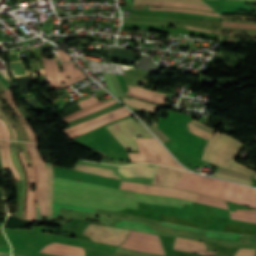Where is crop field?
I'll use <instances>...</instances> for the list:
<instances>
[{"label":"crop field","mask_w":256,"mask_h":256,"mask_svg":"<svg viewBox=\"0 0 256 256\" xmlns=\"http://www.w3.org/2000/svg\"><path fill=\"white\" fill-rule=\"evenodd\" d=\"M53 201L120 211L126 208L137 210V202L168 205L182 208L189 201L139 194L121 189L109 188L89 183L54 178Z\"/></svg>","instance_id":"8a807250"},{"label":"crop field","mask_w":256,"mask_h":256,"mask_svg":"<svg viewBox=\"0 0 256 256\" xmlns=\"http://www.w3.org/2000/svg\"><path fill=\"white\" fill-rule=\"evenodd\" d=\"M176 188L256 207L255 190L245 186L209 179L195 174L183 172Z\"/></svg>","instance_id":"ac0d7876"},{"label":"crop field","mask_w":256,"mask_h":256,"mask_svg":"<svg viewBox=\"0 0 256 256\" xmlns=\"http://www.w3.org/2000/svg\"><path fill=\"white\" fill-rule=\"evenodd\" d=\"M243 146L238 141L216 131L206 145L202 159L217 166L252 176L255 171L233 161Z\"/></svg>","instance_id":"34b2d1b8"},{"label":"crop field","mask_w":256,"mask_h":256,"mask_svg":"<svg viewBox=\"0 0 256 256\" xmlns=\"http://www.w3.org/2000/svg\"><path fill=\"white\" fill-rule=\"evenodd\" d=\"M136 140L140 149V154H129L132 162H137V163L147 162V163H154V164L161 165V158H162V165H168V166L176 167L179 169H183L179 164H177L172 159V157L165 151V149L155 139L136 138ZM140 144H143L153 155L159 154L161 158L159 157V155L153 156L143 145H141L146 158V162H145Z\"/></svg>","instance_id":"412701ff"},{"label":"crop field","mask_w":256,"mask_h":256,"mask_svg":"<svg viewBox=\"0 0 256 256\" xmlns=\"http://www.w3.org/2000/svg\"><path fill=\"white\" fill-rule=\"evenodd\" d=\"M107 129L125 150H137L133 139L137 137V134H142L143 137H153L140 122L137 123L132 118L111 125Z\"/></svg>","instance_id":"f4fd0767"},{"label":"crop field","mask_w":256,"mask_h":256,"mask_svg":"<svg viewBox=\"0 0 256 256\" xmlns=\"http://www.w3.org/2000/svg\"><path fill=\"white\" fill-rule=\"evenodd\" d=\"M129 231L110 226L89 224L84 232L95 242L119 246L127 237Z\"/></svg>","instance_id":"dd49c442"},{"label":"crop field","mask_w":256,"mask_h":256,"mask_svg":"<svg viewBox=\"0 0 256 256\" xmlns=\"http://www.w3.org/2000/svg\"><path fill=\"white\" fill-rule=\"evenodd\" d=\"M121 247L144 252L164 254L159 236L131 231Z\"/></svg>","instance_id":"e52e79f7"},{"label":"crop field","mask_w":256,"mask_h":256,"mask_svg":"<svg viewBox=\"0 0 256 256\" xmlns=\"http://www.w3.org/2000/svg\"><path fill=\"white\" fill-rule=\"evenodd\" d=\"M119 188L130 190V191H135V192H140V193H146V194L177 197V198L190 200L193 202H195L198 197V194H194L191 192L174 190V189H169V188L159 187V186L137 184V183H132V182H122Z\"/></svg>","instance_id":"d8731c3e"},{"label":"crop field","mask_w":256,"mask_h":256,"mask_svg":"<svg viewBox=\"0 0 256 256\" xmlns=\"http://www.w3.org/2000/svg\"><path fill=\"white\" fill-rule=\"evenodd\" d=\"M30 146L39 176V194L37 204H40V215H47V171L39 157L37 145L30 144Z\"/></svg>","instance_id":"5a996713"},{"label":"crop field","mask_w":256,"mask_h":256,"mask_svg":"<svg viewBox=\"0 0 256 256\" xmlns=\"http://www.w3.org/2000/svg\"><path fill=\"white\" fill-rule=\"evenodd\" d=\"M52 60L56 72L57 81L60 86V88L56 89L55 91L86 78V76L78 68H73L76 63H62V68L64 72H59L55 59Z\"/></svg>","instance_id":"3316defc"},{"label":"crop field","mask_w":256,"mask_h":256,"mask_svg":"<svg viewBox=\"0 0 256 256\" xmlns=\"http://www.w3.org/2000/svg\"><path fill=\"white\" fill-rule=\"evenodd\" d=\"M181 174L182 171L171 168L166 171L165 167L160 166L152 184L175 188Z\"/></svg>","instance_id":"28ad6ade"},{"label":"crop field","mask_w":256,"mask_h":256,"mask_svg":"<svg viewBox=\"0 0 256 256\" xmlns=\"http://www.w3.org/2000/svg\"><path fill=\"white\" fill-rule=\"evenodd\" d=\"M40 251V250H39ZM42 253L56 254L62 256H85L83 248L72 247L62 244L50 243L41 249Z\"/></svg>","instance_id":"d1516ede"},{"label":"crop field","mask_w":256,"mask_h":256,"mask_svg":"<svg viewBox=\"0 0 256 256\" xmlns=\"http://www.w3.org/2000/svg\"><path fill=\"white\" fill-rule=\"evenodd\" d=\"M159 166L155 165L154 167L149 166L148 164H136L130 166L119 167L118 171H127V170H142V171H150L156 173ZM150 172H141V171H127V172H120L122 175L126 177H148L154 178V173Z\"/></svg>","instance_id":"22f410ed"},{"label":"crop field","mask_w":256,"mask_h":256,"mask_svg":"<svg viewBox=\"0 0 256 256\" xmlns=\"http://www.w3.org/2000/svg\"><path fill=\"white\" fill-rule=\"evenodd\" d=\"M174 249L201 253L203 255H211L215 252L206 251L205 245L203 242L191 241L185 239H176Z\"/></svg>","instance_id":"cbeb9de0"},{"label":"crop field","mask_w":256,"mask_h":256,"mask_svg":"<svg viewBox=\"0 0 256 256\" xmlns=\"http://www.w3.org/2000/svg\"><path fill=\"white\" fill-rule=\"evenodd\" d=\"M74 170L88 172V173L109 177V178L121 179L117 176V174L114 172L113 169H109V168L85 166V165L76 163Z\"/></svg>","instance_id":"5142ce71"},{"label":"crop field","mask_w":256,"mask_h":256,"mask_svg":"<svg viewBox=\"0 0 256 256\" xmlns=\"http://www.w3.org/2000/svg\"><path fill=\"white\" fill-rule=\"evenodd\" d=\"M129 114H131V113L128 110H126V111L121 112V113H119V114H117V115H115V116H113L111 118H108V119H105V120H101V121H99V122H97L95 124H92V125H89V126H87L85 128H82V129L76 130L74 132H71V133L67 134V136L71 140V139H73V138H75V137H77V136H79L81 134H84V133H86V132H88V131H90V130H92V129H94V128L102 125V124H106L108 122L115 121L116 119L124 117V116L129 115Z\"/></svg>","instance_id":"d9b57169"},{"label":"crop field","mask_w":256,"mask_h":256,"mask_svg":"<svg viewBox=\"0 0 256 256\" xmlns=\"http://www.w3.org/2000/svg\"><path fill=\"white\" fill-rule=\"evenodd\" d=\"M134 4H150V5H167V6H178L185 8H195L213 11L208 5H197L183 2H165V1H153V2H134Z\"/></svg>","instance_id":"733c2abd"},{"label":"crop field","mask_w":256,"mask_h":256,"mask_svg":"<svg viewBox=\"0 0 256 256\" xmlns=\"http://www.w3.org/2000/svg\"><path fill=\"white\" fill-rule=\"evenodd\" d=\"M190 125V130L193 134L198 135L202 138H205L207 140L210 139V137L213 135L215 132L213 129L193 120L192 122L189 123Z\"/></svg>","instance_id":"4a817a6b"},{"label":"crop field","mask_w":256,"mask_h":256,"mask_svg":"<svg viewBox=\"0 0 256 256\" xmlns=\"http://www.w3.org/2000/svg\"><path fill=\"white\" fill-rule=\"evenodd\" d=\"M224 231L234 232V233L256 234V224H251V223H246V225L226 224Z\"/></svg>","instance_id":"bc2a9ffb"},{"label":"crop field","mask_w":256,"mask_h":256,"mask_svg":"<svg viewBox=\"0 0 256 256\" xmlns=\"http://www.w3.org/2000/svg\"><path fill=\"white\" fill-rule=\"evenodd\" d=\"M24 60L27 61L29 68H33L36 70V72L32 74L35 79L40 78L42 82H47V78L43 69L42 59H24Z\"/></svg>","instance_id":"214f88e0"},{"label":"crop field","mask_w":256,"mask_h":256,"mask_svg":"<svg viewBox=\"0 0 256 256\" xmlns=\"http://www.w3.org/2000/svg\"><path fill=\"white\" fill-rule=\"evenodd\" d=\"M124 110H126L124 107L119 108V109H117V110L111 111V112H109V113L103 114V115H101V116L95 117V118L90 119V120H88V121H86V122H83V123H81V124H78V125H76V126H73V127L67 128V129H64L63 131H64V133L66 134V133H68V132H71V131H74V130H76V129L82 128V127H84V126H86V125L92 124V123H94V122H96V121H98V120L108 118V117H110V116H112V115H114V114H116V113H119V112H121V111H124Z\"/></svg>","instance_id":"92a150f3"},{"label":"crop field","mask_w":256,"mask_h":256,"mask_svg":"<svg viewBox=\"0 0 256 256\" xmlns=\"http://www.w3.org/2000/svg\"><path fill=\"white\" fill-rule=\"evenodd\" d=\"M48 170V213L49 220L52 218V192H53V167L51 163L45 164Z\"/></svg>","instance_id":"dafd665d"},{"label":"crop field","mask_w":256,"mask_h":256,"mask_svg":"<svg viewBox=\"0 0 256 256\" xmlns=\"http://www.w3.org/2000/svg\"><path fill=\"white\" fill-rule=\"evenodd\" d=\"M43 63H44V69L49 81V85L51 88V91H53L54 89L58 88V84L55 78V74L53 71V67H52V61L51 59H43Z\"/></svg>","instance_id":"00972430"},{"label":"crop field","mask_w":256,"mask_h":256,"mask_svg":"<svg viewBox=\"0 0 256 256\" xmlns=\"http://www.w3.org/2000/svg\"><path fill=\"white\" fill-rule=\"evenodd\" d=\"M20 155H21V158H22V160L24 162V166H25V168L27 170L28 177H29V191H28V198H27L26 218L33 220L32 200H33V193H34V191H31V176H30V172H29V169H28V167L26 165V162L24 160L22 152H20Z\"/></svg>","instance_id":"a9b5d70f"},{"label":"crop field","mask_w":256,"mask_h":256,"mask_svg":"<svg viewBox=\"0 0 256 256\" xmlns=\"http://www.w3.org/2000/svg\"><path fill=\"white\" fill-rule=\"evenodd\" d=\"M231 218L256 222V211L251 210H237L236 212L231 211Z\"/></svg>","instance_id":"4177f3b9"},{"label":"crop field","mask_w":256,"mask_h":256,"mask_svg":"<svg viewBox=\"0 0 256 256\" xmlns=\"http://www.w3.org/2000/svg\"><path fill=\"white\" fill-rule=\"evenodd\" d=\"M116 226L126 228V229H132V230H138V231H143V232H149V233H155L156 234V232L154 230L147 227L146 225L141 224V223L132 222V221L124 220L121 223L117 224Z\"/></svg>","instance_id":"730fd06b"},{"label":"crop field","mask_w":256,"mask_h":256,"mask_svg":"<svg viewBox=\"0 0 256 256\" xmlns=\"http://www.w3.org/2000/svg\"><path fill=\"white\" fill-rule=\"evenodd\" d=\"M160 221L199 228V226L196 223H194L192 220L183 219V218H179V217H175V216H171V215L160 214Z\"/></svg>","instance_id":"eef30255"},{"label":"crop field","mask_w":256,"mask_h":256,"mask_svg":"<svg viewBox=\"0 0 256 256\" xmlns=\"http://www.w3.org/2000/svg\"><path fill=\"white\" fill-rule=\"evenodd\" d=\"M60 208H67V209L81 210V211H88V212H95V210H96L94 208H88V207H82V206H76V205L53 202V216L58 214V210Z\"/></svg>","instance_id":"ae1a2a85"},{"label":"crop field","mask_w":256,"mask_h":256,"mask_svg":"<svg viewBox=\"0 0 256 256\" xmlns=\"http://www.w3.org/2000/svg\"><path fill=\"white\" fill-rule=\"evenodd\" d=\"M205 237L215 238V239H224V240L238 241L239 234H229V233H220V232L206 231L205 232Z\"/></svg>","instance_id":"d3111659"},{"label":"crop field","mask_w":256,"mask_h":256,"mask_svg":"<svg viewBox=\"0 0 256 256\" xmlns=\"http://www.w3.org/2000/svg\"><path fill=\"white\" fill-rule=\"evenodd\" d=\"M197 202L202 203V204H207V205H211V206L224 208V209H228V206H227L226 202L210 199V198L204 197V196H199Z\"/></svg>","instance_id":"750c4746"},{"label":"crop field","mask_w":256,"mask_h":256,"mask_svg":"<svg viewBox=\"0 0 256 256\" xmlns=\"http://www.w3.org/2000/svg\"><path fill=\"white\" fill-rule=\"evenodd\" d=\"M115 102H117V101H116L115 99H113V100H111V101H109V102H106V103H104V104H102V105H99V106H97V107H95V108H92V109H90V110H88V111H85V112H83V113H81V114H78V115H76V116H74V117H72V118H70V119H67V120L64 121V123L73 121V120H75V119H78V118H80V117H83V116H85V115H88V114H90V113H93V112H95V111H98V110H100V109H103V108H105V107H107V106H109V105H111V104H113V103H115Z\"/></svg>","instance_id":"bd1437ed"},{"label":"crop field","mask_w":256,"mask_h":256,"mask_svg":"<svg viewBox=\"0 0 256 256\" xmlns=\"http://www.w3.org/2000/svg\"><path fill=\"white\" fill-rule=\"evenodd\" d=\"M6 101L8 102L9 106L11 107L12 111L15 113V115L18 117V120L20 121V123L23 125V127L26 129L28 135H29V138H30V141L35 143L34 141V138H33V135L31 133V131L27 128V126L25 125V123L22 121V119L20 118V116L18 115V113L16 112V110L14 109L13 105H12V102L10 100V97L8 95V92L7 90L5 91H2Z\"/></svg>","instance_id":"1d83c4d3"},{"label":"crop field","mask_w":256,"mask_h":256,"mask_svg":"<svg viewBox=\"0 0 256 256\" xmlns=\"http://www.w3.org/2000/svg\"><path fill=\"white\" fill-rule=\"evenodd\" d=\"M130 87V86H129ZM130 88H132V87H130ZM129 88V92H131V93H133V94H136V95H139V96H143V97H147V98H151V99H155V100H159V101H163V102H165L166 101V99H167V96L166 95H164V96H161V97H163V98H160V97H156V96H152V95H149V94H145V93H142V92H139V91H136V90H133V89H136V88H140V87H138V86H136V88H133V89H130ZM140 89H143V88H140ZM138 90V89H137ZM145 90V89H144ZM141 91V90H140ZM146 91H148V90H146ZM148 92H150V91H148ZM151 93H155V94H159V93H156V92H151ZM155 94H153V95H155ZM160 95H163V94H160ZM157 96H159V95H157Z\"/></svg>","instance_id":"120bbe31"},{"label":"crop field","mask_w":256,"mask_h":256,"mask_svg":"<svg viewBox=\"0 0 256 256\" xmlns=\"http://www.w3.org/2000/svg\"><path fill=\"white\" fill-rule=\"evenodd\" d=\"M123 101L127 105H129V106H133V107H137V108H140V109H144V110H147V111L152 112L154 114L156 113V111L158 109L157 107L141 104V103L134 102V101H131V100H128V99H124V98H123Z\"/></svg>","instance_id":"d32e631a"},{"label":"crop field","mask_w":256,"mask_h":256,"mask_svg":"<svg viewBox=\"0 0 256 256\" xmlns=\"http://www.w3.org/2000/svg\"><path fill=\"white\" fill-rule=\"evenodd\" d=\"M5 142V146H6V152H7V158H8V163H9V167L15 177L16 180H20L19 176H18V172L15 170L11 158H10V152H9V147H11L10 141L4 140Z\"/></svg>","instance_id":"5866460e"},{"label":"crop field","mask_w":256,"mask_h":256,"mask_svg":"<svg viewBox=\"0 0 256 256\" xmlns=\"http://www.w3.org/2000/svg\"><path fill=\"white\" fill-rule=\"evenodd\" d=\"M26 144H27V149H28V153H29L30 160H31L32 165H33V168H34V170H35V177H36V191H35V199H34V220H35L36 199H37V194H38V179H37L36 167H35L34 161H33V159H32L31 153H30L29 143H26Z\"/></svg>","instance_id":"028f5c9d"},{"label":"crop field","mask_w":256,"mask_h":256,"mask_svg":"<svg viewBox=\"0 0 256 256\" xmlns=\"http://www.w3.org/2000/svg\"><path fill=\"white\" fill-rule=\"evenodd\" d=\"M223 25L232 26V27H241V28H256V25L246 24V23H236V22H226L222 21Z\"/></svg>","instance_id":"e1f06a70"},{"label":"crop field","mask_w":256,"mask_h":256,"mask_svg":"<svg viewBox=\"0 0 256 256\" xmlns=\"http://www.w3.org/2000/svg\"><path fill=\"white\" fill-rule=\"evenodd\" d=\"M217 172L225 173V174H228V175L236 176V177L247 179V180L251 181L250 177H247V176L239 174L237 172L227 170V169H223V168H220V167H218Z\"/></svg>","instance_id":"0bd39190"},{"label":"crop field","mask_w":256,"mask_h":256,"mask_svg":"<svg viewBox=\"0 0 256 256\" xmlns=\"http://www.w3.org/2000/svg\"><path fill=\"white\" fill-rule=\"evenodd\" d=\"M214 176L252 185V182L215 172Z\"/></svg>","instance_id":"b80d0937"},{"label":"crop field","mask_w":256,"mask_h":256,"mask_svg":"<svg viewBox=\"0 0 256 256\" xmlns=\"http://www.w3.org/2000/svg\"><path fill=\"white\" fill-rule=\"evenodd\" d=\"M255 250L239 249L235 256H254Z\"/></svg>","instance_id":"c035e120"},{"label":"crop field","mask_w":256,"mask_h":256,"mask_svg":"<svg viewBox=\"0 0 256 256\" xmlns=\"http://www.w3.org/2000/svg\"><path fill=\"white\" fill-rule=\"evenodd\" d=\"M149 9H158V10H173V11H185V12H193V13H200V14H206L211 16L219 17L218 14L214 13H206V12H197V11H189V10H177V9H167V8H149Z\"/></svg>","instance_id":"c21b1889"},{"label":"crop field","mask_w":256,"mask_h":256,"mask_svg":"<svg viewBox=\"0 0 256 256\" xmlns=\"http://www.w3.org/2000/svg\"><path fill=\"white\" fill-rule=\"evenodd\" d=\"M0 154H1V160L4 168L8 167L7 160L5 158L4 146H3L2 140H0Z\"/></svg>","instance_id":"03da06ac"},{"label":"crop field","mask_w":256,"mask_h":256,"mask_svg":"<svg viewBox=\"0 0 256 256\" xmlns=\"http://www.w3.org/2000/svg\"><path fill=\"white\" fill-rule=\"evenodd\" d=\"M95 102H98V100H97L95 97H93V98H90V99L81 101V102H79V104H80L83 108H85V107H87V106H89V105H91V104H93V103H95Z\"/></svg>","instance_id":"b54c1fbb"},{"label":"crop field","mask_w":256,"mask_h":256,"mask_svg":"<svg viewBox=\"0 0 256 256\" xmlns=\"http://www.w3.org/2000/svg\"><path fill=\"white\" fill-rule=\"evenodd\" d=\"M0 125H1V129H2V132H3L4 138L10 139L9 131H8L5 123L1 119H0Z\"/></svg>","instance_id":"5d738f31"},{"label":"crop field","mask_w":256,"mask_h":256,"mask_svg":"<svg viewBox=\"0 0 256 256\" xmlns=\"http://www.w3.org/2000/svg\"><path fill=\"white\" fill-rule=\"evenodd\" d=\"M160 223H161V225H164V226L175 227V228H182V229H189V230H193V231L199 232V229H197V228H190V227L178 226V225H173V224L164 223V222H160ZM200 230H201V229H200Z\"/></svg>","instance_id":"d23c7cc5"},{"label":"crop field","mask_w":256,"mask_h":256,"mask_svg":"<svg viewBox=\"0 0 256 256\" xmlns=\"http://www.w3.org/2000/svg\"><path fill=\"white\" fill-rule=\"evenodd\" d=\"M16 154H17V156H18V158H19V160H20V163H21V165H22V168H23V170H24V172H25V178H26V196H27V190H28L27 174H26V171H25V169H24L23 163H22V161H21V158H20L18 152H16ZM26 196H25V200H24V218H25Z\"/></svg>","instance_id":"425ffa30"},{"label":"crop field","mask_w":256,"mask_h":256,"mask_svg":"<svg viewBox=\"0 0 256 256\" xmlns=\"http://www.w3.org/2000/svg\"><path fill=\"white\" fill-rule=\"evenodd\" d=\"M23 153H24V157H25V159H26L27 165H30V166H31L29 169H30L31 175H32V183L35 184V181H34V170H33V168H32L31 162H30V160H29V157H28V155H27V152H23Z\"/></svg>","instance_id":"25e5ab78"},{"label":"crop field","mask_w":256,"mask_h":256,"mask_svg":"<svg viewBox=\"0 0 256 256\" xmlns=\"http://www.w3.org/2000/svg\"><path fill=\"white\" fill-rule=\"evenodd\" d=\"M151 128L159 135V137H160L164 142L170 140V139H169L164 133H162L159 129H155V128H153V127H151Z\"/></svg>","instance_id":"73cf0c24"},{"label":"crop field","mask_w":256,"mask_h":256,"mask_svg":"<svg viewBox=\"0 0 256 256\" xmlns=\"http://www.w3.org/2000/svg\"><path fill=\"white\" fill-rule=\"evenodd\" d=\"M59 52H60L61 61L66 62V61L71 60L70 56L67 53L60 51V50H59Z\"/></svg>","instance_id":"89e229c0"},{"label":"crop field","mask_w":256,"mask_h":256,"mask_svg":"<svg viewBox=\"0 0 256 256\" xmlns=\"http://www.w3.org/2000/svg\"><path fill=\"white\" fill-rule=\"evenodd\" d=\"M126 95H130V96H133V97H137V98H140V99H144V100H147V101H151V102H155V103H159V104H163V105L165 104L163 102H159V101H155V100L139 97V96H136V95H133V94H130V93H126Z\"/></svg>","instance_id":"1f2cbd36"},{"label":"crop field","mask_w":256,"mask_h":256,"mask_svg":"<svg viewBox=\"0 0 256 256\" xmlns=\"http://www.w3.org/2000/svg\"><path fill=\"white\" fill-rule=\"evenodd\" d=\"M8 92H9V94H10V96H11V99H12V102H13V98H12V95H11V93H10V91L8 90ZM13 105H14V103H13ZM14 107H15V105H14ZM15 109H16V107H15ZM17 110V109H16ZM17 112H18V110H17ZM19 113V112H18ZM19 115L21 116V114L19 113ZM21 118L24 120V118L21 116ZM24 122L26 123V125L28 126V128L32 131V133H33V135H34V137H35V134H34V132H33V130L30 128V126L27 124V122L24 120ZM35 140H36V138H35ZM37 143V142H36Z\"/></svg>","instance_id":"dbb93151"},{"label":"crop field","mask_w":256,"mask_h":256,"mask_svg":"<svg viewBox=\"0 0 256 256\" xmlns=\"http://www.w3.org/2000/svg\"><path fill=\"white\" fill-rule=\"evenodd\" d=\"M0 112H1V110H0ZM2 116H3V114H2ZM3 118L6 120V122L10 125L11 129L13 130V132H14V140H16V133H15L13 127L11 126V124L7 121V119L4 116H3Z\"/></svg>","instance_id":"0fb4a251"},{"label":"crop field","mask_w":256,"mask_h":256,"mask_svg":"<svg viewBox=\"0 0 256 256\" xmlns=\"http://www.w3.org/2000/svg\"><path fill=\"white\" fill-rule=\"evenodd\" d=\"M134 1H142V0H134ZM174 1H181V0H174ZM183 2H192V3L205 4V3H203V2H196V1H183Z\"/></svg>","instance_id":"1d79db26"},{"label":"crop field","mask_w":256,"mask_h":256,"mask_svg":"<svg viewBox=\"0 0 256 256\" xmlns=\"http://www.w3.org/2000/svg\"><path fill=\"white\" fill-rule=\"evenodd\" d=\"M184 28H189V29H196V28H190V27H184ZM197 30H201V29H197ZM203 31H207V30H203ZM209 32H213V31H209ZM218 33V32H215ZM220 34V33H219Z\"/></svg>","instance_id":"9d1cf04e"},{"label":"crop field","mask_w":256,"mask_h":256,"mask_svg":"<svg viewBox=\"0 0 256 256\" xmlns=\"http://www.w3.org/2000/svg\"><path fill=\"white\" fill-rule=\"evenodd\" d=\"M0 256H10V254L0 253Z\"/></svg>","instance_id":"447ae74e"},{"label":"crop field","mask_w":256,"mask_h":256,"mask_svg":"<svg viewBox=\"0 0 256 256\" xmlns=\"http://www.w3.org/2000/svg\"><path fill=\"white\" fill-rule=\"evenodd\" d=\"M151 7H156V6H151ZM173 8H176V7H173ZM183 9H185V8H183ZM191 10H194V9H191ZM199 11H204V10H199ZM207 12H211V11H207Z\"/></svg>","instance_id":"0765c3eb"},{"label":"crop field","mask_w":256,"mask_h":256,"mask_svg":"<svg viewBox=\"0 0 256 256\" xmlns=\"http://www.w3.org/2000/svg\"><path fill=\"white\" fill-rule=\"evenodd\" d=\"M0 139H3V138H2V132H1V129H0Z\"/></svg>","instance_id":"db79e9e6"},{"label":"crop field","mask_w":256,"mask_h":256,"mask_svg":"<svg viewBox=\"0 0 256 256\" xmlns=\"http://www.w3.org/2000/svg\"><path fill=\"white\" fill-rule=\"evenodd\" d=\"M12 256H21V255H15V254H12Z\"/></svg>","instance_id":"7b73153f"},{"label":"crop field","mask_w":256,"mask_h":256,"mask_svg":"<svg viewBox=\"0 0 256 256\" xmlns=\"http://www.w3.org/2000/svg\"><path fill=\"white\" fill-rule=\"evenodd\" d=\"M222 34H224V33H222ZM225 35H229V34H225ZM231 36H234V35H231Z\"/></svg>","instance_id":"78b8030e"},{"label":"crop field","mask_w":256,"mask_h":256,"mask_svg":"<svg viewBox=\"0 0 256 256\" xmlns=\"http://www.w3.org/2000/svg\"><path fill=\"white\" fill-rule=\"evenodd\" d=\"M133 100V99H132ZM136 101V100H135ZM140 102V101H139ZM143 103V102H142ZM145 104H147V103H145ZM150 105V104H149Z\"/></svg>","instance_id":"0f1d7ab4"},{"label":"crop field","mask_w":256,"mask_h":256,"mask_svg":"<svg viewBox=\"0 0 256 256\" xmlns=\"http://www.w3.org/2000/svg\"><path fill=\"white\" fill-rule=\"evenodd\" d=\"M221 41V40H220ZM245 43H251V42H245Z\"/></svg>","instance_id":"e1d0b9f6"},{"label":"crop field","mask_w":256,"mask_h":256,"mask_svg":"<svg viewBox=\"0 0 256 256\" xmlns=\"http://www.w3.org/2000/svg\"><path fill=\"white\" fill-rule=\"evenodd\" d=\"M254 178H256V175L254 176Z\"/></svg>","instance_id":"ae633e8c"},{"label":"crop field","mask_w":256,"mask_h":256,"mask_svg":"<svg viewBox=\"0 0 256 256\" xmlns=\"http://www.w3.org/2000/svg\"><path fill=\"white\" fill-rule=\"evenodd\" d=\"M196 1H201V0H196Z\"/></svg>","instance_id":"d14b1444"},{"label":"crop field","mask_w":256,"mask_h":256,"mask_svg":"<svg viewBox=\"0 0 256 256\" xmlns=\"http://www.w3.org/2000/svg\"><path fill=\"white\" fill-rule=\"evenodd\" d=\"M252 40H256V39H252Z\"/></svg>","instance_id":"c39391a2"},{"label":"crop field","mask_w":256,"mask_h":256,"mask_svg":"<svg viewBox=\"0 0 256 256\" xmlns=\"http://www.w3.org/2000/svg\"><path fill=\"white\" fill-rule=\"evenodd\" d=\"M234 18V17H233Z\"/></svg>","instance_id":"ade564c9"}]
</instances>
